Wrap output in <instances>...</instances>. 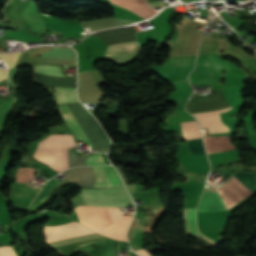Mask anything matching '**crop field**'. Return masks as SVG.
<instances>
[{"label":"crop field","mask_w":256,"mask_h":256,"mask_svg":"<svg viewBox=\"0 0 256 256\" xmlns=\"http://www.w3.org/2000/svg\"><path fill=\"white\" fill-rule=\"evenodd\" d=\"M99 217L102 221L103 229L121 218L119 208H98L96 207Z\"/></svg>","instance_id":"13"},{"label":"crop field","mask_w":256,"mask_h":256,"mask_svg":"<svg viewBox=\"0 0 256 256\" xmlns=\"http://www.w3.org/2000/svg\"><path fill=\"white\" fill-rule=\"evenodd\" d=\"M54 32V31H53ZM58 33V32H57Z\"/></svg>","instance_id":"22"},{"label":"crop field","mask_w":256,"mask_h":256,"mask_svg":"<svg viewBox=\"0 0 256 256\" xmlns=\"http://www.w3.org/2000/svg\"><path fill=\"white\" fill-rule=\"evenodd\" d=\"M187 142L191 154H206L201 138L188 140Z\"/></svg>","instance_id":"16"},{"label":"crop field","mask_w":256,"mask_h":256,"mask_svg":"<svg viewBox=\"0 0 256 256\" xmlns=\"http://www.w3.org/2000/svg\"><path fill=\"white\" fill-rule=\"evenodd\" d=\"M94 233V231L85 228L77 223L71 222L68 224L58 225V226H44L43 234L45 237V242L63 239L83 234ZM106 238L100 234L94 233L84 236H78L58 241L47 242L53 250L60 253L63 256H70L75 248L80 245H85L87 243Z\"/></svg>","instance_id":"1"},{"label":"crop field","mask_w":256,"mask_h":256,"mask_svg":"<svg viewBox=\"0 0 256 256\" xmlns=\"http://www.w3.org/2000/svg\"><path fill=\"white\" fill-rule=\"evenodd\" d=\"M195 55L171 57V72L168 80L174 82L187 80Z\"/></svg>","instance_id":"9"},{"label":"crop field","mask_w":256,"mask_h":256,"mask_svg":"<svg viewBox=\"0 0 256 256\" xmlns=\"http://www.w3.org/2000/svg\"><path fill=\"white\" fill-rule=\"evenodd\" d=\"M138 50L139 47L136 41L110 45L106 49L104 58H110L116 60L119 64H125L137 55Z\"/></svg>","instance_id":"7"},{"label":"crop field","mask_w":256,"mask_h":256,"mask_svg":"<svg viewBox=\"0 0 256 256\" xmlns=\"http://www.w3.org/2000/svg\"><path fill=\"white\" fill-rule=\"evenodd\" d=\"M150 5L155 9V8H157V7H161V8H163V7H165L166 5L165 4H163L161 1H156V2H153V3H150Z\"/></svg>","instance_id":"20"},{"label":"crop field","mask_w":256,"mask_h":256,"mask_svg":"<svg viewBox=\"0 0 256 256\" xmlns=\"http://www.w3.org/2000/svg\"><path fill=\"white\" fill-rule=\"evenodd\" d=\"M234 175L248 189L256 185V177L252 173L235 172ZM199 210H226L215 188L205 190Z\"/></svg>","instance_id":"5"},{"label":"crop field","mask_w":256,"mask_h":256,"mask_svg":"<svg viewBox=\"0 0 256 256\" xmlns=\"http://www.w3.org/2000/svg\"><path fill=\"white\" fill-rule=\"evenodd\" d=\"M22 52L13 54H1L0 58H3L9 65V70L16 64Z\"/></svg>","instance_id":"17"},{"label":"crop field","mask_w":256,"mask_h":256,"mask_svg":"<svg viewBox=\"0 0 256 256\" xmlns=\"http://www.w3.org/2000/svg\"><path fill=\"white\" fill-rule=\"evenodd\" d=\"M38 146L68 149L76 144L71 135H51ZM33 157L58 172L67 168L66 150L38 147Z\"/></svg>","instance_id":"2"},{"label":"crop field","mask_w":256,"mask_h":256,"mask_svg":"<svg viewBox=\"0 0 256 256\" xmlns=\"http://www.w3.org/2000/svg\"><path fill=\"white\" fill-rule=\"evenodd\" d=\"M0 256H17L13 247H0Z\"/></svg>","instance_id":"19"},{"label":"crop field","mask_w":256,"mask_h":256,"mask_svg":"<svg viewBox=\"0 0 256 256\" xmlns=\"http://www.w3.org/2000/svg\"><path fill=\"white\" fill-rule=\"evenodd\" d=\"M60 111H61V115L62 117L65 119V121L71 126V128L73 129V131L75 132L77 138L79 140H84L87 141L91 148H93V146L91 145L90 141L88 140V138L86 137V135L84 134L83 130L81 129V127L79 126V124L77 123L76 119L74 118V116L72 115V113L70 112L69 108L67 107V105L61 106L59 107Z\"/></svg>","instance_id":"11"},{"label":"crop field","mask_w":256,"mask_h":256,"mask_svg":"<svg viewBox=\"0 0 256 256\" xmlns=\"http://www.w3.org/2000/svg\"><path fill=\"white\" fill-rule=\"evenodd\" d=\"M181 125H182L183 135L186 140L201 137L196 121L184 122V123H181Z\"/></svg>","instance_id":"14"},{"label":"crop field","mask_w":256,"mask_h":256,"mask_svg":"<svg viewBox=\"0 0 256 256\" xmlns=\"http://www.w3.org/2000/svg\"><path fill=\"white\" fill-rule=\"evenodd\" d=\"M7 78V70H0V80Z\"/></svg>","instance_id":"21"},{"label":"crop field","mask_w":256,"mask_h":256,"mask_svg":"<svg viewBox=\"0 0 256 256\" xmlns=\"http://www.w3.org/2000/svg\"><path fill=\"white\" fill-rule=\"evenodd\" d=\"M222 70H229V66L228 62L220 58L218 53L198 56L189 80L194 85L214 84L221 79Z\"/></svg>","instance_id":"3"},{"label":"crop field","mask_w":256,"mask_h":256,"mask_svg":"<svg viewBox=\"0 0 256 256\" xmlns=\"http://www.w3.org/2000/svg\"><path fill=\"white\" fill-rule=\"evenodd\" d=\"M57 183L56 179H51L47 185L40 191V193L37 195V197L34 199V201L31 203L29 208L27 210L33 209L35 206H37L39 203H41L45 198H47L49 192L53 188V186Z\"/></svg>","instance_id":"15"},{"label":"crop field","mask_w":256,"mask_h":256,"mask_svg":"<svg viewBox=\"0 0 256 256\" xmlns=\"http://www.w3.org/2000/svg\"><path fill=\"white\" fill-rule=\"evenodd\" d=\"M96 172L95 187H111L121 185L122 182L112 166L93 167Z\"/></svg>","instance_id":"10"},{"label":"crop field","mask_w":256,"mask_h":256,"mask_svg":"<svg viewBox=\"0 0 256 256\" xmlns=\"http://www.w3.org/2000/svg\"><path fill=\"white\" fill-rule=\"evenodd\" d=\"M34 69L37 74L53 77H65L61 73L60 67L36 65ZM56 98L59 104L78 102L76 98V88L56 87Z\"/></svg>","instance_id":"6"},{"label":"crop field","mask_w":256,"mask_h":256,"mask_svg":"<svg viewBox=\"0 0 256 256\" xmlns=\"http://www.w3.org/2000/svg\"><path fill=\"white\" fill-rule=\"evenodd\" d=\"M83 199L90 198H102V197H113V196H124L129 195L124 186L105 188V189H84ZM87 205L94 206H119L132 204L129 196L124 197H113V198H102V199H90L84 200Z\"/></svg>","instance_id":"4"},{"label":"crop field","mask_w":256,"mask_h":256,"mask_svg":"<svg viewBox=\"0 0 256 256\" xmlns=\"http://www.w3.org/2000/svg\"><path fill=\"white\" fill-rule=\"evenodd\" d=\"M105 164L101 154L89 156L86 165Z\"/></svg>","instance_id":"18"},{"label":"crop field","mask_w":256,"mask_h":256,"mask_svg":"<svg viewBox=\"0 0 256 256\" xmlns=\"http://www.w3.org/2000/svg\"><path fill=\"white\" fill-rule=\"evenodd\" d=\"M230 108L231 107L198 112L193 113V115L197 117L201 129L208 128L210 134L222 133L224 131H228V127L221 122L217 114L224 112Z\"/></svg>","instance_id":"8"},{"label":"crop field","mask_w":256,"mask_h":256,"mask_svg":"<svg viewBox=\"0 0 256 256\" xmlns=\"http://www.w3.org/2000/svg\"><path fill=\"white\" fill-rule=\"evenodd\" d=\"M183 217L185 222V234L195 238L202 236L196 228L195 208H184Z\"/></svg>","instance_id":"12"}]
</instances>
